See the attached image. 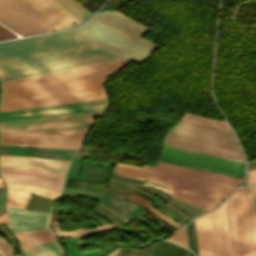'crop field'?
<instances>
[{
	"instance_id": "obj_1",
	"label": "crop field",
	"mask_w": 256,
	"mask_h": 256,
	"mask_svg": "<svg viewBox=\"0 0 256 256\" xmlns=\"http://www.w3.org/2000/svg\"><path fill=\"white\" fill-rule=\"evenodd\" d=\"M96 45L66 31L0 43V82L124 59Z\"/></svg>"
},
{
	"instance_id": "obj_2",
	"label": "crop field",
	"mask_w": 256,
	"mask_h": 256,
	"mask_svg": "<svg viewBox=\"0 0 256 256\" xmlns=\"http://www.w3.org/2000/svg\"><path fill=\"white\" fill-rule=\"evenodd\" d=\"M128 62H113L3 83L0 112L105 98L101 81Z\"/></svg>"
},
{
	"instance_id": "obj_3",
	"label": "crop field",
	"mask_w": 256,
	"mask_h": 256,
	"mask_svg": "<svg viewBox=\"0 0 256 256\" xmlns=\"http://www.w3.org/2000/svg\"><path fill=\"white\" fill-rule=\"evenodd\" d=\"M148 30L149 28L114 10L99 12L86 24L71 31L137 61L159 48L156 44L139 38Z\"/></svg>"
},
{
	"instance_id": "obj_4",
	"label": "crop field",
	"mask_w": 256,
	"mask_h": 256,
	"mask_svg": "<svg viewBox=\"0 0 256 256\" xmlns=\"http://www.w3.org/2000/svg\"><path fill=\"white\" fill-rule=\"evenodd\" d=\"M0 23L20 36H27L82 22L47 0H0Z\"/></svg>"
},
{
	"instance_id": "obj_5",
	"label": "crop field",
	"mask_w": 256,
	"mask_h": 256,
	"mask_svg": "<svg viewBox=\"0 0 256 256\" xmlns=\"http://www.w3.org/2000/svg\"><path fill=\"white\" fill-rule=\"evenodd\" d=\"M114 171L225 195H228L242 181L241 178L162 162H159L155 168L146 165L139 168L117 163Z\"/></svg>"
},
{
	"instance_id": "obj_6",
	"label": "crop field",
	"mask_w": 256,
	"mask_h": 256,
	"mask_svg": "<svg viewBox=\"0 0 256 256\" xmlns=\"http://www.w3.org/2000/svg\"><path fill=\"white\" fill-rule=\"evenodd\" d=\"M164 145L244 162L229 131L180 122L167 133Z\"/></svg>"
},
{
	"instance_id": "obj_7",
	"label": "crop field",
	"mask_w": 256,
	"mask_h": 256,
	"mask_svg": "<svg viewBox=\"0 0 256 256\" xmlns=\"http://www.w3.org/2000/svg\"><path fill=\"white\" fill-rule=\"evenodd\" d=\"M234 256H256L247 186L227 198Z\"/></svg>"
},
{
	"instance_id": "obj_8",
	"label": "crop field",
	"mask_w": 256,
	"mask_h": 256,
	"mask_svg": "<svg viewBox=\"0 0 256 256\" xmlns=\"http://www.w3.org/2000/svg\"><path fill=\"white\" fill-rule=\"evenodd\" d=\"M225 202L195 220L199 256H232Z\"/></svg>"
},
{
	"instance_id": "obj_9",
	"label": "crop field",
	"mask_w": 256,
	"mask_h": 256,
	"mask_svg": "<svg viewBox=\"0 0 256 256\" xmlns=\"http://www.w3.org/2000/svg\"><path fill=\"white\" fill-rule=\"evenodd\" d=\"M101 111L0 122V132L90 128ZM104 113V112H103Z\"/></svg>"
},
{
	"instance_id": "obj_10",
	"label": "crop field",
	"mask_w": 256,
	"mask_h": 256,
	"mask_svg": "<svg viewBox=\"0 0 256 256\" xmlns=\"http://www.w3.org/2000/svg\"><path fill=\"white\" fill-rule=\"evenodd\" d=\"M87 131L88 129L0 133V144L78 149Z\"/></svg>"
},
{
	"instance_id": "obj_11",
	"label": "crop field",
	"mask_w": 256,
	"mask_h": 256,
	"mask_svg": "<svg viewBox=\"0 0 256 256\" xmlns=\"http://www.w3.org/2000/svg\"><path fill=\"white\" fill-rule=\"evenodd\" d=\"M164 148L244 165V163H242V162H237V161H233V160H228V159L218 158V157H214V156L194 153V152L175 149V148L166 147V146H164ZM165 149H163L162 156H161L162 162L202 169V170H206V171H211V172H216V173H221V174H226V175H231V176H236V177H241V178L244 177V166H242V165H237V164H232V163H228V162L203 158V157H199V156L179 153V152L165 150Z\"/></svg>"
},
{
	"instance_id": "obj_12",
	"label": "crop field",
	"mask_w": 256,
	"mask_h": 256,
	"mask_svg": "<svg viewBox=\"0 0 256 256\" xmlns=\"http://www.w3.org/2000/svg\"><path fill=\"white\" fill-rule=\"evenodd\" d=\"M113 174L119 175V176H124V177H129V178H133V179H138V180H142V181L145 180L143 178L129 176V175L120 174V173H116V172H114ZM147 182L165 186V187L169 188L170 190L160 188V187H157L154 185H150ZM144 185L150 186V187L157 189L159 191H162L174 198L191 203L193 205L202 207L207 210H210L213 207H215L226 197L225 195H220V194H215V193H211V192L186 188V187H182V186L162 183V182L148 180V179L145 180Z\"/></svg>"
},
{
	"instance_id": "obj_13",
	"label": "crop field",
	"mask_w": 256,
	"mask_h": 256,
	"mask_svg": "<svg viewBox=\"0 0 256 256\" xmlns=\"http://www.w3.org/2000/svg\"><path fill=\"white\" fill-rule=\"evenodd\" d=\"M0 176L5 183H24L59 192L64 178L62 175L25 169H0Z\"/></svg>"
},
{
	"instance_id": "obj_14",
	"label": "crop field",
	"mask_w": 256,
	"mask_h": 256,
	"mask_svg": "<svg viewBox=\"0 0 256 256\" xmlns=\"http://www.w3.org/2000/svg\"><path fill=\"white\" fill-rule=\"evenodd\" d=\"M106 100L0 113V121L105 109Z\"/></svg>"
},
{
	"instance_id": "obj_15",
	"label": "crop field",
	"mask_w": 256,
	"mask_h": 256,
	"mask_svg": "<svg viewBox=\"0 0 256 256\" xmlns=\"http://www.w3.org/2000/svg\"><path fill=\"white\" fill-rule=\"evenodd\" d=\"M69 162L24 156H0V168H25L62 175H64Z\"/></svg>"
},
{
	"instance_id": "obj_16",
	"label": "crop field",
	"mask_w": 256,
	"mask_h": 256,
	"mask_svg": "<svg viewBox=\"0 0 256 256\" xmlns=\"http://www.w3.org/2000/svg\"><path fill=\"white\" fill-rule=\"evenodd\" d=\"M12 232L47 228L49 213L6 207Z\"/></svg>"
},
{
	"instance_id": "obj_17",
	"label": "crop field",
	"mask_w": 256,
	"mask_h": 256,
	"mask_svg": "<svg viewBox=\"0 0 256 256\" xmlns=\"http://www.w3.org/2000/svg\"><path fill=\"white\" fill-rule=\"evenodd\" d=\"M8 188V198L6 206L16 208H26L27 202L33 192L35 194L51 197L57 199L59 193L30 186L24 184H6Z\"/></svg>"
},
{
	"instance_id": "obj_18",
	"label": "crop field",
	"mask_w": 256,
	"mask_h": 256,
	"mask_svg": "<svg viewBox=\"0 0 256 256\" xmlns=\"http://www.w3.org/2000/svg\"><path fill=\"white\" fill-rule=\"evenodd\" d=\"M14 234L20 240V247L22 249L55 240L48 229L17 232Z\"/></svg>"
},
{
	"instance_id": "obj_19",
	"label": "crop field",
	"mask_w": 256,
	"mask_h": 256,
	"mask_svg": "<svg viewBox=\"0 0 256 256\" xmlns=\"http://www.w3.org/2000/svg\"><path fill=\"white\" fill-rule=\"evenodd\" d=\"M61 9L65 10L80 21L86 20L92 14L73 0H49Z\"/></svg>"
},
{
	"instance_id": "obj_20",
	"label": "crop field",
	"mask_w": 256,
	"mask_h": 256,
	"mask_svg": "<svg viewBox=\"0 0 256 256\" xmlns=\"http://www.w3.org/2000/svg\"><path fill=\"white\" fill-rule=\"evenodd\" d=\"M107 184L66 177L64 186L104 194Z\"/></svg>"
},
{
	"instance_id": "obj_21",
	"label": "crop field",
	"mask_w": 256,
	"mask_h": 256,
	"mask_svg": "<svg viewBox=\"0 0 256 256\" xmlns=\"http://www.w3.org/2000/svg\"><path fill=\"white\" fill-rule=\"evenodd\" d=\"M26 256H62L56 242H50L23 250Z\"/></svg>"
},
{
	"instance_id": "obj_22",
	"label": "crop field",
	"mask_w": 256,
	"mask_h": 256,
	"mask_svg": "<svg viewBox=\"0 0 256 256\" xmlns=\"http://www.w3.org/2000/svg\"><path fill=\"white\" fill-rule=\"evenodd\" d=\"M185 249L164 241L158 242L151 256H183Z\"/></svg>"
},
{
	"instance_id": "obj_23",
	"label": "crop field",
	"mask_w": 256,
	"mask_h": 256,
	"mask_svg": "<svg viewBox=\"0 0 256 256\" xmlns=\"http://www.w3.org/2000/svg\"><path fill=\"white\" fill-rule=\"evenodd\" d=\"M182 121L230 131L225 121L211 120V119L203 118V117L192 115V114L186 113Z\"/></svg>"
},
{
	"instance_id": "obj_24",
	"label": "crop field",
	"mask_w": 256,
	"mask_h": 256,
	"mask_svg": "<svg viewBox=\"0 0 256 256\" xmlns=\"http://www.w3.org/2000/svg\"><path fill=\"white\" fill-rule=\"evenodd\" d=\"M62 244L66 245L69 250V256H100L101 253L99 250L92 251V252H79L76 253V245L82 244H97L79 240H63Z\"/></svg>"
},
{
	"instance_id": "obj_25",
	"label": "crop field",
	"mask_w": 256,
	"mask_h": 256,
	"mask_svg": "<svg viewBox=\"0 0 256 256\" xmlns=\"http://www.w3.org/2000/svg\"><path fill=\"white\" fill-rule=\"evenodd\" d=\"M113 228H117V227L111 224L106 226H100V227H97V229H90V230L79 229L73 232L56 231L54 232V234L57 237V239H60V238L69 237V236H77V235L91 232V231H104V230L113 229Z\"/></svg>"
},
{
	"instance_id": "obj_26",
	"label": "crop field",
	"mask_w": 256,
	"mask_h": 256,
	"mask_svg": "<svg viewBox=\"0 0 256 256\" xmlns=\"http://www.w3.org/2000/svg\"><path fill=\"white\" fill-rule=\"evenodd\" d=\"M248 187H249V193H250L251 209H252L254 232H255V239H256V185L248 186Z\"/></svg>"
},
{
	"instance_id": "obj_27",
	"label": "crop field",
	"mask_w": 256,
	"mask_h": 256,
	"mask_svg": "<svg viewBox=\"0 0 256 256\" xmlns=\"http://www.w3.org/2000/svg\"><path fill=\"white\" fill-rule=\"evenodd\" d=\"M146 208H148L150 211H152L154 214H156L157 216L163 218L164 220H166L168 223H170L171 225H173L175 228L178 227L180 224H178L177 222H175L173 219H171L170 217L160 213L158 210H156L155 208H153L152 206H147Z\"/></svg>"
},
{
	"instance_id": "obj_28",
	"label": "crop field",
	"mask_w": 256,
	"mask_h": 256,
	"mask_svg": "<svg viewBox=\"0 0 256 256\" xmlns=\"http://www.w3.org/2000/svg\"><path fill=\"white\" fill-rule=\"evenodd\" d=\"M0 248L2 249V251L6 256H11L14 254V250L12 246L1 238H0Z\"/></svg>"
},
{
	"instance_id": "obj_29",
	"label": "crop field",
	"mask_w": 256,
	"mask_h": 256,
	"mask_svg": "<svg viewBox=\"0 0 256 256\" xmlns=\"http://www.w3.org/2000/svg\"><path fill=\"white\" fill-rule=\"evenodd\" d=\"M14 37H16L15 33L0 25V40Z\"/></svg>"
},
{
	"instance_id": "obj_30",
	"label": "crop field",
	"mask_w": 256,
	"mask_h": 256,
	"mask_svg": "<svg viewBox=\"0 0 256 256\" xmlns=\"http://www.w3.org/2000/svg\"><path fill=\"white\" fill-rule=\"evenodd\" d=\"M254 184H256V168L248 172L247 181L245 183V185H254Z\"/></svg>"
},
{
	"instance_id": "obj_31",
	"label": "crop field",
	"mask_w": 256,
	"mask_h": 256,
	"mask_svg": "<svg viewBox=\"0 0 256 256\" xmlns=\"http://www.w3.org/2000/svg\"><path fill=\"white\" fill-rule=\"evenodd\" d=\"M112 183V182H111ZM113 184H115V183H113ZM113 184H110L111 186H113V187H117V188H121V189H125V190H129V191H131V192H133V193H135V194H137V195H139V196H141V197H143V198H145V199H147V200H151V199H149V198H151V197H149V196H147V195H145V194H143V193H141V192H139V191H137V190H135V191H137V192H139V193H141V194H143V195H145V196H147V197H149V198H147V197H145V196H143V195H141V194H139V193H137V192H135V191H133V190H130V189H132V188H130V189H127V188H124V187H121V186H117V185H113Z\"/></svg>"
},
{
	"instance_id": "obj_32",
	"label": "crop field",
	"mask_w": 256,
	"mask_h": 256,
	"mask_svg": "<svg viewBox=\"0 0 256 256\" xmlns=\"http://www.w3.org/2000/svg\"><path fill=\"white\" fill-rule=\"evenodd\" d=\"M130 199L140 203L143 206H146L148 204V201H146V200H144V199H142V198H140V197H138V196H136L134 194H133V196Z\"/></svg>"
},
{
	"instance_id": "obj_33",
	"label": "crop field",
	"mask_w": 256,
	"mask_h": 256,
	"mask_svg": "<svg viewBox=\"0 0 256 256\" xmlns=\"http://www.w3.org/2000/svg\"><path fill=\"white\" fill-rule=\"evenodd\" d=\"M154 246H155V245H154ZM154 246H151V247H149V248H147V249H145V250H142V251L140 252L139 256H150V254H151V252H152Z\"/></svg>"
},
{
	"instance_id": "obj_34",
	"label": "crop field",
	"mask_w": 256,
	"mask_h": 256,
	"mask_svg": "<svg viewBox=\"0 0 256 256\" xmlns=\"http://www.w3.org/2000/svg\"><path fill=\"white\" fill-rule=\"evenodd\" d=\"M147 213H149L150 215H152L153 217H155L156 219H158L159 221H161L163 224H165L166 226H168L170 229H175L174 227H172L170 224H168L167 222L163 221L162 219H160L159 217H157L156 215H154L153 213L149 212L148 210H144Z\"/></svg>"
},
{
	"instance_id": "obj_35",
	"label": "crop field",
	"mask_w": 256,
	"mask_h": 256,
	"mask_svg": "<svg viewBox=\"0 0 256 256\" xmlns=\"http://www.w3.org/2000/svg\"><path fill=\"white\" fill-rule=\"evenodd\" d=\"M8 221H9V219H8V217H7L6 214L0 216V224L5 223V222H8Z\"/></svg>"
},
{
	"instance_id": "obj_36",
	"label": "crop field",
	"mask_w": 256,
	"mask_h": 256,
	"mask_svg": "<svg viewBox=\"0 0 256 256\" xmlns=\"http://www.w3.org/2000/svg\"><path fill=\"white\" fill-rule=\"evenodd\" d=\"M127 248H124L123 250H122V252L119 254V256H123V254H124V252H125V250H126ZM129 249L130 248H128L127 249V251H126V253H125V255L124 256H126L127 255V253H128V251H129Z\"/></svg>"
},
{
	"instance_id": "obj_37",
	"label": "crop field",
	"mask_w": 256,
	"mask_h": 256,
	"mask_svg": "<svg viewBox=\"0 0 256 256\" xmlns=\"http://www.w3.org/2000/svg\"><path fill=\"white\" fill-rule=\"evenodd\" d=\"M99 207H100V206H99ZM101 208H102V207H101ZM99 209H100V208H99ZM103 209H104V208H103ZM103 209H101V210H103ZM105 210H106V209H105ZM103 211H104V210H103ZM106 211H108V210H106ZM106 211H105V212H106ZM108 212H109V211H108ZM108 212H107V213H108ZM110 213H111V212H110ZM108 214H109V213H108ZM111 214H112V213H111ZM111 214H110V215H111ZM112 215H114V214H112ZM112 215H111V216H112ZM114 216H115V215H114ZM115 217H117V216H115ZM115 217H114V218H115ZM117 218H118V217H117ZM115 219H116V218H115ZM119 219H120V218H119ZM117 220H118V219H117ZM118 221H120V220H118ZM122 221H123V220H122ZM122 221H120V222L123 223L124 221H123V222H122ZM124 223H126V222H124ZM124 223H123V224H124Z\"/></svg>"
},
{
	"instance_id": "obj_38",
	"label": "crop field",
	"mask_w": 256,
	"mask_h": 256,
	"mask_svg": "<svg viewBox=\"0 0 256 256\" xmlns=\"http://www.w3.org/2000/svg\"><path fill=\"white\" fill-rule=\"evenodd\" d=\"M108 192H110V193H112V194H115V193H113V192H111V191H108ZM115 195H117V194H115ZM120 196V195H119ZM122 197V196H121ZM123 198H125V197H123ZM125 199H127V198H125ZM127 200H129V199H127ZM129 201H131V200H129ZM131 202H133V201H131ZM133 203H135V202H133ZM135 204H137V203H135ZM137 205H139V204H137ZM139 206H141V205H139ZM142 208H145V207H143V206H141Z\"/></svg>"
},
{
	"instance_id": "obj_39",
	"label": "crop field",
	"mask_w": 256,
	"mask_h": 256,
	"mask_svg": "<svg viewBox=\"0 0 256 256\" xmlns=\"http://www.w3.org/2000/svg\"><path fill=\"white\" fill-rule=\"evenodd\" d=\"M2 186H4V185H3V183H2V181H1V179H0V187H2Z\"/></svg>"
},
{
	"instance_id": "obj_40",
	"label": "crop field",
	"mask_w": 256,
	"mask_h": 256,
	"mask_svg": "<svg viewBox=\"0 0 256 256\" xmlns=\"http://www.w3.org/2000/svg\"><path fill=\"white\" fill-rule=\"evenodd\" d=\"M189 253V251H187V253H186V255L185 256H187V254Z\"/></svg>"
},
{
	"instance_id": "obj_41",
	"label": "crop field",
	"mask_w": 256,
	"mask_h": 256,
	"mask_svg": "<svg viewBox=\"0 0 256 256\" xmlns=\"http://www.w3.org/2000/svg\"><path fill=\"white\" fill-rule=\"evenodd\" d=\"M1 254V253H0Z\"/></svg>"
}]
</instances>
